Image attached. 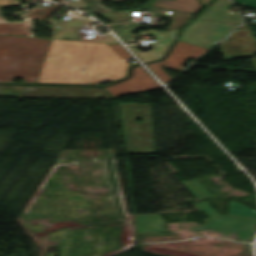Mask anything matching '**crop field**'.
Returning <instances> with one entry per match:
<instances>
[{"instance_id": "8a807250", "label": "crop field", "mask_w": 256, "mask_h": 256, "mask_svg": "<svg viewBox=\"0 0 256 256\" xmlns=\"http://www.w3.org/2000/svg\"><path fill=\"white\" fill-rule=\"evenodd\" d=\"M128 66L107 44L52 39L37 82L98 84L125 77Z\"/></svg>"}, {"instance_id": "ac0d7876", "label": "crop field", "mask_w": 256, "mask_h": 256, "mask_svg": "<svg viewBox=\"0 0 256 256\" xmlns=\"http://www.w3.org/2000/svg\"><path fill=\"white\" fill-rule=\"evenodd\" d=\"M50 42L34 37L15 36L2 67L0 81H12L14 77H18L25 82H36Z\"/></svg>"}, {"instance_id": "34b2d1b8", "label": "crop field", "mask_w": 256, "mask_h": 256, "mask_svg": "<svg viewBox=\"0 0 256 256\" xmlns=\"http://www.w3.org/2000/svg\"><path fill=\"white\" fill-rule=\"evenodd\" d=\"M229 6H231L229 0H216L197 18L241 24L239 13L230 12ZM197 18L183 30L178 40L209 49L237 27L231 24L201 21Z\"/></svg>"}, {"instance_id": "412701ff", "label": "crop field", "mask_w": 256, "mask_h": 256, "mask_svg": "<svg viewBox=\"0 0 256 256\" xmlns=\"http://www.w3.org/2000/svg\"><path fill=\"white\" fill-rule=\"evenodd\" d=\"M119 108L126 153H156L150 104H119Z\"/></svg>"}, {"instance_id": "f4fd0767", "label": "crop field", "mask_w": 256, "mask_h": 256, "mask_svg": "<svg viewBox=\"0 0 256 256\" xmlns=\"http://www.w3.org/2000/svg\"><path fill=\"white\" fill-rule=\"evenodd\" d=\"M194 206L200 212H205L210 219H205L206 224L204 225L189 228L191 231L212 229L220 233L234 232L240 240L252 238V227L256 224V219L217 215L206 201Z\"/></svg>"}, {"instance_id": "dd49c442", "label": "crop field", "mask_w": 256, "mask_h": 256, "mask_svg": "<svg viewBox=\"0 0 256 256\" xmlns=\"http://www.w3.org/2000/svg\"><path fill=\"white\" fill-rule=\"evenodd\" d=\"M3 97H80L95 98L108 97L109 95L102 88L91 87H62V86H27L23 89L1 90Z\"/></svg>"}, {"instance_id": "e52e79f7", "label": "crop field", "mask_w": 256, "mask_h": 256, "mask_svg": "<svg viewBox=\"0 0 256 256\" xmlns=\"http://www.w3.org/2000/svg\"><path fill=\"white\" fill-rule=\"evenodd\" d=\"M206 50L207 49H203L197 46H193V45L178 41L173 46L169 55L164 60H162L161 62L147 64V66L154 71L157 78L162 83H165L171 78L163 72V70L160 68L161 65L171 67L181 71L183 69L182 64L186 60V58L195 59Z\"/></svg>"}, {"instance_id": "d8731c3e", "label": "crop field", "mask_w": 256, "mask_h": 256, "mask_svg": "<svg viewBox=\"0 0 256 256\" xmlns=\"http://www.w3.org/2000/svg\"><path fill=\"white\" fill-rule=\"evenodd\" d=\"M242 30L233 32L230 37L219 43L224 58L252 56L256 53V40L247 26ZM246 42V44H244ZM243 46L242 48L240 46Z\"/></svg>"}, {"instance_id": "5a996713", "label": "crop field", "mask_w": 256, "mask_h": 256, "mask_svg": "<svg viewBox=\"0 0 256 256\" xmlns=\"http://www.w3.org/2000/svg\"><path fill=\"white\" fill-rule=\"evenodd\" d=\"M159 84L148 76L140 66L133 68L130 79L106 87L112 96L159 88Z\"/></svg>"}, {"instance_id": "3316defc", "label": "crop field", "mask_w": 256, "mask_h": 256, "mask_svg": "<svg viewBox=\"0 0 256 256\" xmlns=\"http://www.w3.org/2000/svg\"><path fill=\"white\" fill-rule=\"evenodd\" d=\"M137 233L168 231L159 214L135 215Z\"/></svg>"}, {"instance_id": "28ad6ade", "label": "crop field", "mask_w": 256, "mask_h": 256, "mask_svg": "<svg viewBox=\"0 0 256 256\" xmlns=\"http://www.w3.org/2000/svg\"><path fill=\"white\" fill-rule=\"evenodd\" d=\"M154 7L196 13L202 6L196 0H157Z\"/></svg>"}, {"instance_id": "d1516ede", "label": "crop field", "mask_w": 256, "mask_h": 256, "mask_svg": "<svg viewBox=\"0 0 256 256\" xmlns=\"http://www.w3.org/2000/svg\"><path fill=\"white\" fill-rule=\"evenodd\" d=\"M0 34L30 36L31 21L0 23Z\"/></svg>"}, {"instance_id": "22f410ed", "label": "crop field", "mask_w": 256, "mask_h": 256, "mask_svg": "<svg viewBox=\"0 0 256 256\" xmlns=\"http://www.w3.org/2000/svg\"><path fill=\"white\" fill-rule=\"evenodd\" d=\"M100 1L101 0H88L89 4H86L85 0H76L74 2H71L69 4H65V5L73 7L75 9H77V10L90 8L93 13L111 11L109 9L104 8L100 4ZM113 1L114 2H122V1H128V0H113Z\"/></svg>"}, {"instance_id": "cbeb9de0", "label": "crop field", "mask_w": 256, "mask_h": 256, "mask_svg": "<svg viewBox=\"0 0 256 256\" xmlns=\"http://www.w3.org/2000/svg\"><path fill=\"white\" fill-rule=\"evenodd\" d=\"M56 6H57V4H54L53 6H48L46 8H42L38 5V6L34 7L33 9H31L30 11L27 10L28 12L19 14V16L25 17V16L35 14L32 17L39 22H43L45 20V18L53 11V9Z\"/></svg>"}, {"instance_id": "5142ce71", "label": "crop field", "mask_w": 256, "mask_h": 256, "mask_svg": "<svg viewBox=\"0 0 256 256\" xmlns=\"http://www.w3.org/2000/svg\"><path fill=\"white\" fill-rule=\"evenodd\" d=\"M231 215L256 217V211L246 207L243 204L230 201L228 213Z\"/></svg>"}, {"instance_id": "d9b57169", "label": "crop field", "mask_w": 256, "mask_h": 256, "mask_svg": "<svg viewBox=\"0 0 256 256\" xmlns=\"http://www.w3.org/2000/svg\"><path fill=\"white\" fill-rule=\"evenodd\" d=\"M205 198H202L190 185L187 181L182 182V184L197 198V199H206L214 197L200 182L197 180L189 181Z\"/></svg>"}, {"instance_id": "733c2abd", "label": "crop field", "mask_w": 256, "mask_h": 256, "mask_svg": "<svg viewBox=\"0 0 256 256\" xmlns=\"http://www.w3.org/2000/svg\"><path fill=\"white\" fill-rule=\"evenodd\" d=\"M57 17L55 15H53L52 17H50L47 21V23H51V24H55L57 25V27L59 26L60 28H55L54 33H53V37L52 38H58V39H62L63 36V30H64V24H65V20L60 19L61 17H59V19L56 21ZM72 21H86V22H92L91 19H73Z\"/></svg>"}, {"instance_id": "4a817a6b", "label": "crop field", "mask_w": 256, "mask_h": 256, "mask_svg": "<svg viewBox=\"0 0 256 256\" xmlns=\"http://www.w3.org/2000/svg\"><path fill=\"white\" fill-rule=\"evenodd\" d=\"M14 36L0 35V70Z\"/></svg>"}, {"instance_id": "bc2a9ffb", "label": "crop field", "mask_w": 256, "mask_h": 256, "mask_svg": "<svg viewBox=\"0 0 256 256\" xmlns=\"http://www.w3.org/2000/svg\"><path fill=\"white\" fill-rule=\"evenodd\" d=\"M121 58L131 57L126 50L119 44H108Z\"/></svg>"}, {"instance_id": "214f88e0", "label": "crop field", "mask_w": 256, "mask_h": 256, "mask_svg": "<svg viewBox=\"0 0 256 256\" xmlns=\"http://www.w3.org/2000/svg\"><path fill=\"white\" fill-rule=\"evenodd\" d=\"M235 4L256 8V0H233Z\"/></svg>"}, {"instance_id": "92a150f3", "label": "crop field", "mask_w": 256, "mask_h": 256, "mask_svg": "<svg viewBox=\"0 0 256 256\" xmlns=\"http://www.w3.org/2000/svg\"><path fill=\"white\" fill-rule=\"evenodd\" d=\"M19 3L17 0H0V5Z\"/></svg>"}, {"instance_id": "dafd665d", "label": "crop field", "mask_w": 256, "mask_h": 256, "mask_svg": "<svg viewBox=\"0 0 256 256\" xmlns=\"http://www.w3.org/2000/svg\"><path fill=\"white\" fill-rule=\"evenodd\" d=\"M252 63L254 64L255 68H256V58L251 59Z\"/></svg>"}, {"instance_id": "00972430", "label": "crop field", "mask_w": 256, "mask_h": 256, "mask_svg": "<svg viewBox=\"0 0 256 256\" xmlns=\"http://www.w3.org/2000/svg\"><path fill=\"white\" fill-rule=\"evenodd\" d=\"M203 4L205 5L209 0H201Z\"/></svg>"}, {"instance_id": "a9b5d70f", "label": "crop field", "mask_w": 256, "mask_h": 256, "mask_svg": "<svg viewBox=\"0 0 256 256\" xmlns=\"http://www.w3.org/2000/svg\"><path fill=\"white\" fill-rule=\"evenodd\" d=\"M0 15H1V13H0Z\"/></svg>"}]
</instances>
